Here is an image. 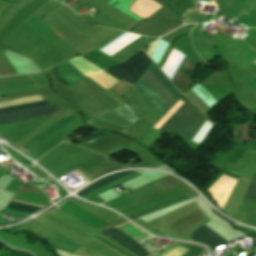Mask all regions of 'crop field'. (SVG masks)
<instances>
[{
	"label": "crop field",
	"instance_id": "1",
	"mask_svg": "<svg viewBox=\"0 0 256 256\" xmlns=\"http://www.w3.org/2000/svg\"><path fill=\"white\" fill-rule=\"evenodd\" d=\"M183 104L178 101L154 126L156 129H160L164 123L177 111V109ZM206 117L195 108V106L185 103L173 117L160 129L162 132L176 131L182 133L188 139L195 136L202 124L205 122ZM212 125L206 120L201 129L198 131L193 141L201 143L205 135L209 131Z\"/></svg>",
	"mask_w": 256,
	"mask_h": 256
},
{
	"label": "crop field",
	"instance_id": "2",
	"mask_svg": "<svg viewBox=\"0 0 256 256\" xmlns=\"http://www.w3.org/2000/svg\"><path fill=\"white\" fill-rule=\"evenodd\" d=\"M149 70L155 75V77L164 85V87L178 100L182 94L174 87V85L161 73V71L152 63ZM146 70L142 76V80L146 85L155 93V95L164 103L169 109L176 100L171 94L162 86V84L153 76V74ZM135 85L139 92L148 100V102L157 110L162 116L168 110L163 103L154 95V93L145 85L142 80Z\"/></svg>",
	"mask_w": 256,
	"mask_h": 256
},
{
	"label": "crop field",
	"instance_id": "3",
	"mask_svg": "<svg viewBox=\"0 0 256 256\" xmlns=\"http://www.w3.org/2000/svg\"><path fill=\"white\" fill-rule=\"evenodd\" d=\"M179 56H180V53H178L176 50L172 49L169 57L167 58L164 66L162 68L167 76H168L169 72L171 71L172 67L174 66V64L176 63ZM184 57L185 56L181 55L180 58L178 59L177 63L175 64L174 68L172 69L171 73L168 76L170 79L173 76V74L175 73V71L177 70L178 66L180 65V63L182 62ZM196 65H198V64L185 57V59L183 60V62L179 66L178 70L176 71V73L174 74V76L171 79L172 83L183 94L186 92V90L192 84L186 78Z\"/></svg>",
	"mask_w": 256,
	"mask_h": 256
},
{
	"label": "crop field",
	"instance_id": "4",
	"mask_svg": "<svg viewBox=\"0 0 256 256\" xmlns=\"http://www.w3.org/2000/svg\"><path fill=\"white\" fill-rule=\"evenodd\" d=\"M151 62L147 55L140 50L122 64L105 70L134 85Z\"/></svg>",
	"mask_w": 256,
	"mask_h": 256
},
{
	"label": "crop field",
	"instance_id": "5",
	"mask_svg": "<svg viewBox=\"0 0 256 256\" xmlns=\"http://www.w3.org/2000/svg\"><path fill=\"white\" fill-rule=\"evenodd\" d=\"M143 118L129 103L97 119L130 129Z\"/></svg>",
	"mask_w": 256,
	"mask_h": 256
},
{
	"label": "crop field",
	"instance_id": "6",
	"mask_svg": "<svg viewBox=\"0 0 256 256\" xmlns=\"http://www.w3.org/2000/svg\"><path fill=\"white\" fill-rule=\"evenodd\" d=\"M75 117H77V116H75L70 111L67 112L65 115L60 117L58 120L53 122L51 125H49L45 129H43L41 132L36 134L34 137L29 139L27 142L22 144L19 148L28 153L33 148H35L37 145H39L41 142H43L45 139H47L49 136H51L53 133H55L57 130H59L64 125H66L68 122L73 120Z\"/></svg>",
	"mask_w": 256,
	"mask_h": 256
},
{
	"label": "crop field",
	"instance_id": "7",
	"mask_svg": "<svg viewBox=\"0 0 256 256\" xmlns=\"http://www.w3.org/2000/svg\"><path fill=\"white\" fill-rule=\"evenodd\" d=\"M59 105L46 106L29 111L0 115V124L50 116L64 110V107L62 108Z\"/></svg>",
	"mask_w": 256,
	"mask_h": 256
},
{
	"label": "crop field",
	"instance_id": "8",
	"mask_svg": "<svg viewBox=\"0 0 256 256\" xmlns=\"http://www.w3.org/2000/svg\"><path fill=\"white\" fill-rule=\"evenodd\" d=\"M100 234L122 245L123 247L129 249L130 251L136 253L139 256H147L149 254V252L143 249L137 242L133 241L131 238L126 236L124 233H122L115 227L107 231H103Z\"/></svg>",
	"mask_w": 256,
	"mask_h": 256
},
{
	"label": "crop field",
	"instance_id": "9",
	"mask_svg": "<svg viewBox=\"0 0 256 256\" xmlns=\"http://www.w3.org/2000/svg\"><path fill=\"white\" fill-rule=\"evenodd\" d=\"M191 238L201 241L209 245L211 248L223 242H226L205 225L201 226L198 230L194 231L191 235Z\"/></svg>",
	"mask_w": 256,
	"mask_h": 256
},
{
	"label": "crop field",
	"instance_id": "10",
	"mask_svg": "<svg viewBox=\"0 0 256 256\" xmlns=\"http://www.w3.org/2000/svg\"><path fill=\"white\" fill-rule=\"evenodd\" d=\"M160 6L153 0H137L129 10L145 19Z\"/></svg>",
	"mask_w": 256,
	"mask_h": 256
},
{
	"label": "crop field",
	"instance_id": "11",
	"mask_svg": "<svg viewBox=\"0 0 256 256\" xmlns=\"http://www.w3.org/2000/svg\"><path fill=\"white\" fill-rule=\"evenodd\" d=\"M124 35H125V33L121 34L119 37H117L116 39L111 41L109 44L104 46L102 49H104L105 47H107L108 45H110L111 43H113L114 41H116L117 39H119L120 37H122ZM138 37L139 36L127 34L124 37H122L121 39H119L116 42H114L113 44H111L110 46H108L107 48H105L104 50H102V49L101 50L104 51L105 53H107L108 55L112 56L116 52L121 50L123 47H125L127 44H129L133 40L137 39Z\"/></svg>",
	"mask_w": 256,
	"mask_h": 256
},
{
	"label": "crop field",
	"instance_id": "12",
	"mask_svg": "<svg viewBox=\"0 0 256 256\" xmlns=\"http://www.w3.org/2000/svg\"><path fill=\"white\" fill-rule=\"evenodd\" d=\"M157 41H158V40H157ZM157 41L154 42L153 44H151V46H150L149 49L147 50L146 53H147L149 56H150V54H151L153 48L155 47ZM169 46H170V44H168V43H166V42H164V41H162V40L159 39V41H158L156 47L154 48V50H153V52H152V54H151V56H150V57L155 61V63H156L158 66H160V64H161V62H162V60H163V58H164V56H165V54H166V52H167Z\"/></svg>",
	"mask_w": 256,
	"mask_h": 256
},
{
	"label": "crop field",
	"instance_id": "13",
	"mask_svg": "<svg viewBox=\"0 0 256 256\" xmlns=\"http://www.w3.org/2000/svg\"><path fill=\"white\" fill-rule=\"evenodd\" d=\"M131 172H133V171L119 172V173L113 174V175H111L107 178L101 179V180L89 185L84 190L79 192L77 195L80 196V197L83 196V195H86V194H88V193H90V192H92V191H94V190H96V189H98V188H100V187H102L106 184H109V183H111V182H113V181L131 173Z\"/></svg>",
	"mask_w": 256,
	"mask_h": 256
},
{
	"label": "crop field",
	"instance_id": "14",
	"mask_svg": "<svg viewBox=\"0 0 256 256\" xmlns=\"http://www.w3.org/2000/svg\"><path fill=\"white\" fill-rule=\"evenodd\" d=\"M71 65H73L80 73H82L85 77L101 70L97 66L91 64L90 62L86 61L85 59L78 57L69 61Z\"/></svg>",
	"mask_w": 256,
	"mask_h": 256
},
{
	"label": "crop field",
	"instance_id": "15",
	"mask_svg": "<svg viewBox=\"0 0 256 256\" xmlns=\"http://www.w3.org/2000/svg\"><path fill=\"white\" fill-rule=\"evenodd\" d=\"M46 105H49L47 100L33 102V103H27V104H21V105H16V106H10V107H4V108H0V114L29 110V109L46 106Z\"/></svg>",
	"mask_w": 256,
	"mask_h": 256
},
{
	"label": "crop field",
	"instance_id": "16",
	"mask_svg": "<svg viewBox=\"0 0 256 256\" xmlns=\"http://www.w3.org/2000/svg\"><path fill=\"white\" fill-rule=\"evenodd\" d=\"M13 201H10V203L8 204L9 207H14V208H18V209L28 210V211H32V212H37V211H39L41 209L40 207H42V206L36 207L37 205L36 206H31L33 204L26 205V204H22L23 202L22 203H17L19 201H17V202H13ZM9 207H7V208L8 209H12V210H17V211L33 214L32 212H27V211H23V210L13 209V208H9Z\"/></svg>",
	"mask_w": 256,
	"mask_h": 256
},
{
	"label": "crop field",
	"instance_id": "17",
	"mask_svg": "<svg viewBox=\"0 0 256 256\" xmlns=\"http://www.w3.org/2000/svg\"><path fill=\"white\" fill-rule=\"evenodd\" d=\"M199 97H201L209 106L216 102L201 86L196 84L192 89Z\"/></svg>",
	"mask_w": 256,
	"mask_h": 256
},
{
	"label": "crop field",
	"instance_id": "18",
	"mask_svg": "<svg viewBox=\"0 0 256 256\" xmlns=\"http://www.w3.org/2000/svg\"><path fill=\"white\" fill-rule=\"evenodd\" d=\"M244 199H248L251 201L256 202V182L252 181L245 196Z\"/></svg>",
	"mask_w": 256,
	"mask_h": 256
},
{
	"label": "crop field",
	"instance_id": "19",
	"mask_svg": "<svg viewBox=\"0 0 256 256\" xmlns=\"http://www.w3.org/2000/svg\"><path fill=\"white\" fill-rule=\"evenodd\" d=\"M196 253L192 252V251H188L187 253H185L183 256H194Z\"/></svg>",
	"mask_w": 256,
	"mask_h": 256
},
{
	"label": "crop field",
	"instance_id": "20",
	"mask_svg": "<svg viewBox=\"0 0 256 256\" xmlns=\"http://www.w3.org/2000/svg\"><path fill=\"white\" fill-rule=\"evenodd\" d=\"M253 179L256 180V174H255V176L253 177Z\"/></svg>",
	"mask_w": 256,
	"mask_h": 256
},
{
	"label": "crop field",
	"instance_id": "21",
	"mask_svg": "<svg viewBox=\"0 0 256 256\" xmlns=\"http://www.w3.org/2000/svg\"><path fill=\"white\" fill-rule=\"evenodd\" d=\"M100 72H102V71H100ZM100 72H98V73H100ZM97 74V73H96ZM93 75H95V74H93ZM92 76V75H91ZM90 77V76H89Z\"/></svg>",
	"mask_w": 256,
	"mask_h": 256
},
{
	"label": "crop field",
	"instance_id": "22",
	"mask_svg": "<svg viewBox=\"0 0 256 256\" xmlns=\"http://www.w3.org/2000/svg\"><path fill=\"white\" fill-rule=\"evenodd\" d=\"M161 7H162V6H161ZM161 7H160V8H161ZM157 10H158V9H157ZM157 10H156V11H157ZM146 19H147V18H146ZM146 19H145V20H146ZM145 20H144V21H145Z\"/></svg>",
	"mask_w": 256,
	"mask_h": 256
},
{
	"label": "crop field",
	"instance_id": "23",
	"mask_svg": "<svg viewBox=\"0 0 256 256\" xmlns=\"http://www.w3.org/2000/svg\"><path fill=\"white\" fill-rule=\"evenodd\" d=\"M253 63H255V64H256V60H255Z\"/></svg>",
	"mask_w": 256,
	"mask_h": 256
},
{
	"label": "crop field",
	"instance_id": "24",
	"mask_svg": "<svg viewBox=\"0 0 256 256\" xmlns=\"http://www.w3.org/2000/svg\"><path fill=\"white\" fill-rule=\"evenodd\" d=\"M1 13V12H0Z\"/></svg>",
	"mask_w": 256,
	"mask_h": 256
}]
</instances>
